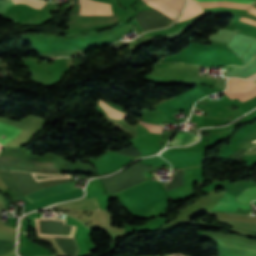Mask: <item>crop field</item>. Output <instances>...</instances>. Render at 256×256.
<instances>
[{
    "label": "crop field",
    "instance_id": "obj_1",
    "mask_svg": "<svg viewBox=\"0 0 256 256\" xmlns=\"http://www.w3.org/2000/svg\"><path fill=\"white\" fill-rule=\"evenodd\" d=\"M73 182H68L60 185H56L53 187L45 188L40 191L34 192L32 194H29L27 196H24L26 199H28L31 203H34L36 201H39L44 198H48L51 196H55L58 194H62L65 192H69L78 188L73 187Z\"/></svg>",
    "mask_w": 256,
    "mask_h": 256
},
{
    "label": "crop field",
    "instance_id": "obj_2",
    "mask_svg": "<svg viewBox=\"0 0 256 256\" xmlns=\"http://www.w3.org/2000/svg\"><path fill=\"white\" fill-rule=\"evenodd\" d=\"M234 199V196L225 193L219 203L213 209L231 212H235L237 208L250 209L249 206L237 203Z\"/></svg>",
    "mask_w": 256,
    "mask_h": 256
},
{
    "label": "crop field",
    "instance_id": "obj_3",
    "mask_svg": "<svg viewBox=\"0 0 256 256\" xmlns=\"http://www.w3.org/2000/svg\"><path fill=\"white\" fill-rule=\"evenodd\" d=\"M21 130L0 122V143L3 145L15 138Z\"/></svg>",
    "mask_w": 256,
    "mask_h": 256
},
{
    "label": "crop field",
    "instance_id": "obj_4",
    "mask_svg": "<svg viewBox=\"0 0 256 256\" xmlns=\"http://www.w3.org/2000/svg\"><path fill=\"white\" fill-rule=\"evenodd\" d=\"M59 205H64L76 209H96L100 208L95 198L82 199L77 201H72L68 203H63Z\"/></svg>",
    "mask_w": 256,
    "mask_h": 256
},
{
    "label": "crop field",
    "instance_id": "obj_5",
    "mask_svg": "<svg viewBox=\"0 0 256 256\" xmlns=\"http://www.w3.org/2000/svg\"><path fill=\"white\" fill-rule=\"evenodd\" d=\"M147 4L157 8L159 11H161L163 14H165L167 17H169L171 20H174V18L177 16L178 12H176L174 9H172L170 6H168L166 3H164L162 0H144ZM156 9V10H157Z\"/></svg>",
    "mask_w": 256,
    "mask_h": 256
},
{
    "label": "crop field",
    "instance_id": "obj_6",
    "mask_svg": "<svg viewBox=\"0 0 256 256\" xmlns=\"http://www.w3.org/2000/svg\"><path fill=\"white\" fill-rule=\"evenodd\" d=\"M15 4L17 3H26L33 8H41L45 2L38 0H13ZM14 5L12 0H0V14H3L8 7Z\"/></svg>",
    "mask_w": 256,
    "mask_h": 256
},
{
    "label": "crop field",
    "instance_id": "obj_7",
    "mask_svg": "<svg viewBox=\"0 0 256 256\" xmlns=\"http://www.w3.org/2000/svg\"><path fill=\"white\" fill-rule=\"evenodd\" d=\"M182 12L183 14L178 21L194 17L199 13L203 12V10L201 9L199 4L195 3L192 0H187V5Z\"/></svg>",
    "mask_w": 256,
    "mask_h": 256
},
{
    "label": "crop field",
    "instance_id": "obj_8",
    "mask_svg": "<svg viewBox=\"0 0 256 256\" xmlns=\"http://www.w3.org/2000/svg\"><path fill=\"white\" fill-rule=\"evenodd\" d=\"M183 134L180 133H176V135L173 137V139L170 141L169 144H173V145H178L180 139L182 138ZM197 140V136L192 134V133H188V134H184L182 140L180 141L179 145H186V144H190L193 141Z\"/></svg>",
    "mask_w": 256,
    "mask_h": 256
},
{
    "label": "crop field",
    "instance_id": "obj_9",
    "mask_svg": "<svg viewBox=\"0 0 256 256\" xmlns=\"http://www.w3.org/2000/svg\"><path fill=\"white\" fill-rule=\"evenodd\" d=\"M255 198H256V187L246 189L239 196H237L236 200L249 205L250 201H252Z\"/></svg>",
    "mask_w": 256,
    "mask_h": 256
},
{
    "label": "crop field",
    "instance_id": "obj_10",
    "mask_svg": "<svg viewBox=\"0 0 256 256\" xmlns=\"http://www.w3.org/2000/svg\"><path fill=\"white\" fill-rule=\"evenodd\" d=\"M99 105L104 109V111L106 112L108 117L115 118V119H120V118H124L125 115H126L124 113H121V112L113 109L112 107L107 105L104 101L100 100Z\"/></svg>",
    "mask_w": 256,
    "mask_h": 256
},
{
    "label": "crop field",
    "instance_id": "obj_11",
    "mask_svg": "<svg viewBox=\"0 0 256 256\" xmlns=\"http://www.w3.org/2000/svg\"><path fill=\"white\" fill-rule=\"evenodd\" d=\"M80 53H83V52L77 49H72V50H64V51H57V52H50V53H42L40 55L45 57H56V56H73Z\"/></svg>",
    "mask_w": 256,
    "mask_h": 256
},
{
    "label": "crop field",
    "instance_id": "obj_12",
    "mask_svg": "<svg viewBox=\"0 0 256 256\" xmlns=\"http://www.w3.org/2000/svg\"><path fill=\"white\" fill-rule=\"evenodd\" d=\"M12 247H13V243L0 241V255L9 253Z\"/></svg>",
    "mask_w": 256,
    "mask_h": 256
},
{
    "label": "crop field",
    "instance_id": "obj_13",
    "mask_svg": "<svg viewBox=\"0 0 256 256\" xmlns=\"http://www.w3.org/2000/svg\"><path fill=\"white\" fill-rule=\"evenodd\" d=\"M197 2H209V1H230V2H238V3H246L252 4L254 1L251 0H195Z\"/></svg>",
    "mask_w": 256,
    "mask_h": 256
},
{
    "label": "crop field",
    "instance_id": "obj_14",
    "mask_svg": "<svg viewBox=\"0 0 256 256\" xmlns=\"http://www.w3.org/2000/svg\"><path fill=\"white\" fill-rule=\"evenodd\" d=\"M141 124H143L148 129L149 132L160 133V131H161V127L160 126L151 125V124H145V123H142V122H141Z\"/></svg>",
    "mask_w": 256,
    "mask_h": 256
},
{
    "label": "crop field",
    "instance_id": "obj_15",
    "mask_svg": "<svg viewBox=\"0 0 256 256\" xmlns=\"http://www.w3.org/2000/svg\"><path fill=\"white\" fill-rule=\"evenodd\" d=\"M255 95H256V87L254 89H252L250 92L238 97V99L243 101V100L250 99V98L254 97Z\"/></svg>",
    "mask_w": 256,
    "mask_h": 256
},
{
    "label": "crop field",
    "instance_id": "obj_16",
    "mask_svg": "<svg viewBox=\"0 0 256 256\" xmlns=\"http://www.w3.org/2000/svg\"><path fill=\"white\" fill-rule=\"evenodd\" d=\"M95 1H101V2L111 3L113 0H95Z\"/></svg>",
    "mask_w": 256,
    "mask_h": 256
},
{
    "label": "crop field",
    "instance_id": "obj_17",
    "mask_svg": "<svg viewBox=\"0 0 256 256\" xmlns=\"http://www.w3.org/2000/svg\"><path fill=\"white\" fill-rule=\"evenodd\" d=\"M247 78H249V79H256V74H254V75H252V76H249V77H247Z\"/></svg>",
    "mask_w": 256,
    "mask_h": 256
},
{
    "label": "crop field",
    "instance_id": "obj_18",
    "mask_svg": "<svg viewBox=\"0 0 256 256\" xmlns=\"http://www.w3.org/2000/svg\"><path fill=\"white\" fill-rule=\"evenodd\" d=\"M3 146L0 145V150L2 149Z\"/></svg>",
    "mask_w": 256,
    "mask_h": 256
},
{
    "label": "crop field",
    "instance_id": "obj_19",
    "mask_svg": "<svg viewBox=\"0 0 256 256\" xmlns=\"http://www.w3.org/2000/svg\"><path fill=\"white\" fill-rule=\"evenodd\" d=\"M191 115H192V114H191ZM191 115H190V117H191ZM189 119H190V118H189ZM189 119H188V121H189ZM188 121H187V122H188Z\"/></svg>",
    "mask_w": 256,
    "mask_h": 256
},
{
    "label": "crop field",
    "instance_id": "obj_20",
    "mask_svg": "<svg viewBox=\"0 0 256 256\" xmlns=\"http://www.w3.org/2000/svg\"><path fill=\"white\" fill-rule=\"evenodd\" d=\"M253 203H255V204H256V201H254Z\"/></svg>",
    "mask_w": 256,
    "mask_h": 256
}]
</instances>
